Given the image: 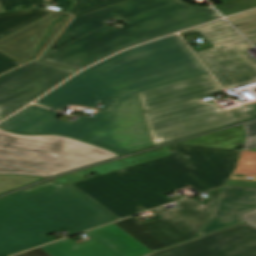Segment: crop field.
Masks as SVG:
<instances>
[{
	"instance_id": "obj_1",
	"label": "crop field",
	"mask_w": 256,
	"mask_h": 256,
	"mask_svg": "<svg viewBox=\"0 0 256 256\" xmlns=\"http://www.w3.org/2000/svg\"><path fill=\"white\" fill-rule=\"evenodd\" d=\"M207 73L178 35L128 49L73 77L34 102L60 111L68 103L94 107L76 123L31 105L0 124L23 134H62L120 155L152 146L137 92Z\"/></svg>"
},
{
	"instance_id": "obj_2",
	"label": "crop field",
	"mask_w": 256,
	"mask_h": 256,
	"mask_svg": "<svg viewBox=\"0 0 256 256\" xmlns=\"http://www.w3.org/2000/svg\"><path fill=\"white\" fill-rule=\"evenodd\" d=\"M169 156L73 185L119 219L172 202L163 194L189 185L201 193L222 186L240 150L174 144Z\"/></svg>"
},
{
	"instance_id": "obj_3",
	"label": "crop field",
	"mask_w": 256,
	"mask_h": 256,
	"mask_svg": "<svg viewBox=\"0 0 256 256\" xmlns=\"http://www.w3.org/2000/svg\"><path fill=\"white\" fill-rule=\"evenodd\" d=\"M117 17L130 27L106 26L38 60L82 69L120 50L221 18L210 6L180 0H127L74 18L45 52L82 36Z\"/></svg>"
},
{
	"instance_id": "obj_4",
	"label": "crop field",
	"mask_w": 256,
	"mask_h": 256,
	"mask_svg": "<svg viewBox=\"0 0 256 256\" xmlns=\"http://www.w3.org/2000/svg\"><path fill=\"white\" fill-rule=\"evenodd\" d=\"M82 193L70 184L0 199V256L53 241L47 234L66 227L79 233L117 219Z\"/></svg>"
},
{
	"instance_id": "obj_5",
	"label": "crop field",
	"mask_w": 256,
	"mask_h": 256,
	"mask_svg": "<svg viewBox=\"0 0 256 256\" xmlns=\"http://www.w3.org/2000/svg\"><path fill=\"white\" fill-rule=\"evenodd\" d=\"M115 156L63 136H22L0 129V174L50 177Z\"/></svg>"
},
{
	"instance_id": "obj_6",
	"label": "crop field",
	"mask_w": 256,
	"mask_h": 256,
	"mask_svg": "<svg viewBox=\"0 0 256 256\" xmlns=\"http://www.w3.org/2000/svg\"><path fill=\"white\" fill-rule=\"evenodd\" d=\"M201 98L144 112L152 145H159L256 117V102L222 111Z\"/></svg>"
},
{
	"instance_id": "obj_7",
	"label": "crop field",
	"mask_w": 256,
	"mask_h": 256,
	"mask_svg": "<svg viewBox=\"0 0 256 256\" xmlns=\"http://www.w3.org/2000/svg\"><path fill=\"white\" fill-rule=\"evenodd\" d=\"M196 31L213 48L195 53L225 89L256 81V61L245 52L252 45L228 23L219 20L180 34Z\"/></svg>"
},
{
	"instance_id": "obj_8",
	"label": "crop field",
	"mask_w": 256,
	"mask_h": 256,
	"mask_svg": "<svg viewBox=\"0 0 256 256\" xmlns=\"http://www.w3.org/2000/svg\"><path fill=\"white\" fill-rule=\"evenodd\" d=\"M221 188L214 189L209 203L193 198L177 202L178 208L153 210L163 218L141 224L133 217L114 222L137 241L154 251L193 237L205 225Z\"/></svg>"
},
{
	"instance_id": "obj_9",
	"label": "crop field",
	"mask_w": 256,
	"mask_h": 256,
	"mask_svg": "<svg viewBox=\"0 0 256 256\" xmlns=\"http://www.w3.org/2000/svg\"><path fill=\"white\" fill-rule=\"evenodd\" d=\"M75 72L33 61L0 76V120L29 104Z\"/></svg>"
},
{
	"instance_id": "obj_10",
	"label": "crop field",
	"mask_w": 256,
	"mask_h": 256,
	"mask_svg": "<svg viewBox=\"0 0 256 256\" xmlns=\"http://www.w3.org/2000/svg\"><path fill=\"white\" fill-rule=\"evenodd\" d=\"M144 256H256V229L238 224Z\"/></svg>"
},
{
	"instance_id": "obj_11",
	"label": "crop field",
	"mask_w": 256,
	"mask_h": 256,
	"mask_svg": "<svg viewBox=\"0 0 256 256\" xmlns=\"http://www.w3.org/2000/svg\"><path fill=\"white\" fill-rule=\"evenodd\" d=\"M221 91L209 73L139 92L142 110L148 111Z\"/></svg>"
},
{
	"instance_id": "obj_12",
	"label": "crop field",
	"mask_w": 256,
	"mask_h": 256,
	"mask_svg": "<svg viewBox=\"0 0 256 256\" xmlns=\"http://www.w3.org/2000/svg\"><path fill=\"white\" fill-rule=\"evenodd\" d=\"M253 209H256V189L225 186L199 236L242 223L240 214Z\"/></svg>"
},
{
	"instance_id": "obj_13",
	"label": "crop field",
	"mask_w": 256,
	"mask_h": 256,
	"mask_svg": "<svg viewBox=\"0 0 256 256\" xmlns=\"http://www.w3.org/2000/svg\"><path fill=\"white\" fill-rule=\"evenodd\" d=\"M61 16H63V13L51 12L35 22L0 39V52L21 63L31 59L39 42L47 34L51 22Z\"/></svg>"
},
{
	"instance_id": "obj_14",
	"label": "crop field",
	"mask_w": 256,
	"mask_h": 256,
	"mask_svg": "<svg viewBox=\"0 0 256 256\" xmlns=\"http://www.w3.org/2000/svg\"><path fill=\"white\" fill-rule=\"evenodd\" d=\"M86 234L117 256H139L150 252L113 224L86 232Z\"/></svg>"
},
{
	"instance_id": "obj_15",
	"label": "crop field",
	"mask_w": 256,
	"mask_h": 256,
	"mask_svg": "<svg viewBox=\"0 0 256 256\" xmlns=\"http://www.w3.org/2000/svg\"><path fill=\"white\" fill-rule=\"evenodd\" d=\"M168 155V149L167 146L160 148V149H156L147 153H143L140 155H136L130 158H126L123 160H119L116 162H112V163H108V164H104V165H100L91 169H87V170H83V171H79L73 174H78L80 175V177H77L75 175L69 174L57 179H54L56 182H58L59 184H61L62 186H65L67 184L70 183H74V182H78L81 180H85V178L83 176L88 175V174H92V173H99V174H103V173H107L110 171H114L117 169H121L124 167H128L131 165H135V164H139L142 162H146L149 160H153L156 158H160L163 156H167Z\"/></svg>"
},
{
	"instance_id": "obj_16",
	"label": "crop field",
	"mask_w": 256,
	"mask_h": 256,
	"mask_svg": "<svg viewBox=\"0 0 256 256\" xmlns=\"http://www.w3.org/2000/svg\"><path fill=\"white\" fill-rule=\"evenodd\" d=\"M42 248L53 256H116L94 240L76 245L66 238Z\"/></svg>"
},
{
	"instance_id": "obj_17",
	"label": "crop field",
	"mask_w": 256,
	"mask_h": 256,
	"mask_svg": "<svg viewBox=\"0 0 256 256\" xmlns=\"http://www.w3.org/2000/svg\"><path fill=\"white\" fill-rule=\"evenodd\" d=\"M244 130L243 128L238 129L236 127L219 131L213 134L181 142V144H191L200 146H210L219 148H238L237 145H233L234 142L244 141Z\"/></svg>"
},
{
	"instance_id": "obj_18",
	"label": "crop field",
	"mask_w": 256,
	"mask_h": 256,
	"mask_svg": "<svg viewBox=\"0 0 256 256\" xmlns=\"http://www.w3.org/2000/svg\"><path fill=\"white\" fill-rule=\"evenodd\" d=\"M49 12L32 9L0 14V38L18 30Z\"/></svg>"
},
{
	"instance_id": "obj_19",
	"label": "crop field",
	"mask_w": 256,
	"mask_h": 256,
	"mask_svg": "<svg viewBox=\"0 0 256 256\" xmlns=\"http://www.w3.org/2000/svg\"><path fill=\"white\" fill-rule=\"evenodd\" d=\"M253 177L252 181L229 179L227 185L256 188V152L242 151L232 178Z\"/></svg>"
},
{
	"instance_id": "obj_20",
	"label": "crop field",
	"mask_w": 256,
	"mask_h": 256,
	"mask_svg": "<svg viewBox=\"0 0 256 256\" xmlns=\"http://www.w3.org/2000/svg\"><path fill=\"white\" fill-rule=\"evenodd\" d=\"M56 1L59 2L56 7L61 8V12H66L72 4L69 0ZM37 6L45 7L44 0H0V12L27 9Z\"/></svg>"
},
{
	"instance_id": "obj_21",
	"label": "crop field",
	"mask_w": 256,
	"mask_h": 256,
	"mask_svg": "<svg viewBox=\"0 0 256 256\" xmlns=\"http://www.w3.org/2000/svg\"><path fill=\"white\" fill-rule=\"evenodd\" d=\"M256 45V10L228 18Z\"/></svg>"
},
{
	"instance_id": "obj_22",
	"label": "crop field",
	"mask_w": 256,
	"mask_h": 256,
	"mask_svg": "<svg viewBox=\"0 0 256 256\" xmlns=\"http://www.w3.org/2000/svg\"><path fill=\"white\" fill-rule=\"evenodd\" d=\"M74 6L69 11V14L82 15L124 0H74Z\"/></svg>"
},
{
	"instance_id": "obj_23",
	"label": "crop field",
	"mask_w": 256,
	"mask_h": 256,
	"mask_svg": "<svg viewBox=\"0 0 256 256\" xmlns=\"http://www.w3.org/2000/svg\"><path fill=\"white\" fill-rule=\"evenodd\" d=\"M222 4L214 6L224 16L256 8V0H221Z\"/></svg>"
},
{
	"instance_id": "obj_24",
	"label": "crop field",
	"mask_w": 256,
	"mask_h": 256,
	"mask_svg": "<svg viewBox=\"0 0 256 256\" xmlns=\"http://www.w3.org/2000/svg\"><path fill=\"white\" fill-rule=\"evenodd\" d=\"M44 178L21 175H0V194L36 182Z\"/></svg>"
},
{
	"instance_id": "obj_25",
	"label": "crop field",
	"mask_w": 256,
	"mask_h": 256,
	"mask_svg": "<svg viewBox=\"0 0 256 256\" xmlns=\"http://www.w3.org/2000/svg\"><path fill=\"white\" fill-rule=\"evenodd\" d=\"M245 142L243 150L256 151V122L244 125Z\"/></svg>"
},
{
	"instance_id": "obj_26",
	"label": "crop field",
	"mask_w": 256,
	"mask_h": 256,
	"mask_svg": "<svg viewBox=\"0 0 256 256\" xmlns=\"http://www.w3.org/2000/svg\"><path fill=\"white\" fill-rule=\"evenodd\" d=\"M71 16L67 15L65 16L61 21L54 24L53 29L49 36L44 40L42 46L40 47L39 51L35 56H39L44 49L47 47V45L56 37V35L59 33V31L70 21Z\"/></svg>"
},
{
	"instance_id": "obj_27",
	"label": "crop field",
	"mask_w": 256,
	"mask_h": 256,
	"mask_svg": "<svg viewBox=\"0 0 256 256\" xmlns=\"http://www.w3.org/2000/svg\"><path fill=\"white\" fill-rule=\"evenodd\" d=\"M21 63L5 56L4 54L0 53V73L11 69Z\"/></svg>"
},
{
	"instance_id": "obj_28",
	"label": "crop field",
	"mask_w": 256,
	"mask_h": 256,
	"mask_svg": "<svg viewBox=\"0 0 256 256\" xmlns=\"http://www.w3.org/2000/svg\"><path fill=\"white\" fill-rule=\"evenodd\" d=\"M241 216L244 223H247L256 228V210L244 213Z\"/></svg>"
},
{
	"instance_id": "obj_29",
	"label": "crop field",
	"mask_w": 256,
	"mask_h": 256,
	"mask_svg": "<svg viewBox=\"0 0 256 256\" xmlns=\"http://www.w3.org/2000/svg\"><path fill=\"white\" fill-rule=\"evenodd\" d=\"M52 189H55V188L53 186L47 184V185H43V186H40L38 188L29 190L25 193L29 196H33V195H36V194H39V193H42V192H46V191H49V190H52Z\"/></svg>"
},
{
	"instance_id": "obj_30",
	"label": "crop field",
	"mask_w": 256,
	"mask_h": 256,
	"mask_svg": "<svg viewBox=\"0 0 256 256\" xmlns=\"http://www.w3.org/2000/svg\"><path fill=\"white\" fill-rule=\"evenodd\" d=\"M16 256H50V255L44 252L42 249L38 248V249H34Z\"/></svg>"
},
{
	"instance_id": "obj_31",
	"label": "crop field",
	"mask_w": 256,
	"mask_h": 256,
	"mask_svg": "<svg viewBox=\"0 0 256 256\" xmlns=\"http://www.w3.org/2000/svg\"><path fill=\"white\" fill-rule=\"evenodd\" d=\"M217 11V10H216ZM223 16V15H222Z\"/></svg>"
}]
</instances>
